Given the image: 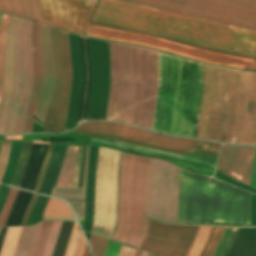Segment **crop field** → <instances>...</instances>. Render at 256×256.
Segmentation results:
<instances>
[{
	"label": "crop field",
	"instance_id": "1",
	"mask_svg": "<svg viewBox=\"0 0 256 256\" xmlns=\"http://www.w3.org/2000/svg\"><path fill=\"white\" fill-rule=\"evenodd\" d=\"M197 138L256 145V74L203 64Z\"/></svg>",
	"mask_w": 256,
	"mask_h": 256
},
{
	"label": "crop field",
	"instance_id": "2",
	"mask_svg": "<svg viewBox=\"0 0 256 256\" xmlns=\"http://www.w3.org/2000/svg\"><path fill=\"white\" fill-rule=\"evenodd\" d=\"M158 89V52L111 43L106 120L152 127Z\"/></svg>",
	"mask_w": 256,
	"mask_h": 256
},
{
	"label": "crop field",
	"instance_id": "3",
	"mask_svg": "<svg viewBox=\"0 0 256 256\" xmlns=\"http://www.w3.org/2000/svg\"><path fill=\"white\" fill-rule=\"evenodd\" d=\"M151 159L122 152L117 229L113 240L139 247L147 231Z\"/></svg>",
	"mask_w": 256,
	"mask_h": 256
},
{
	"label": "crop field",
	"instance_id": "4",
	"mask_svg": "<svg viewBox=\"0 0 256 256\" xmlns=\"http://www.w3.org/2000/svg\"><path fill=\"white\" fill-rule=\"evenodd\" d=\"M73 132L88 134V135H92L94 133H103V134H108V135H112V136H117V137H121V138L134 140L137 142H141V143H144L147 145L160 147V148H164V149L203 153V154H209V155H215V156L218 155V152H219V149L221 146L218 144H212V143H206V142H200V141H194V140L168 138V137L148 133V132L141 131V130H138L135 128L126 127V126H122V125H118V124H114V123H110V122L85 123V124L79 126L78 128H76ZM90 141L99 142V143H103V144H109V145H113V146H119V147H123V148L130 149V150H135V151H142V152L158 154V155H162V156L176 157V158L188 160L191 162L204 164V165H207L212 168L216 167L215 165H212V164H209L206 162L189 159V158H184V157H180V156H175V155H170V154H165V153H161V152L122 146V145L109 143V142H105V141H101V140H96V139H92V138H90Z\"/></svg>",
	"mask_w": 256,
	"mask_h": 256
},
{
	"label": "crop field",
	"instance_id": "5",
	"mask_svg": "<svg viewBox=\"0 0 256 256\" xmlns=\"http://www.w3.org/2000/svg\"><path fill=\"white\" fill-rule=\"evenodd\" d=\"M32 22L18 19L15 33L14 85L5 134H22L32 84Z\"/></svg>",
	"mask_w": 256,
	"mask_h": 256
},
{
	"label": "crop field",
	"instance_id": "6",
	"mask_svg": "<svg viewBox=\"0 0 256 256\" xmlns=\"http://www.w3.org/2000/svg\"><path fill=\"white\" fill-rule=\"evenodd\" d=\"M119 157L118 151L98 147L94 220L90 233L109 239L117 219Z\"/></svg>",
	"mask_w": 256,
	"mask_h": 256
},
{
	"label": "crop field",
	"instance_id": "7",
	"mask_svg": "<svg viewBox=\"0 0 256 256\" xmlns=\"http://www.w3.org/2000/svg\"><path fill=\"white\" fill-rule=\"evenodd\" d=\"M180 168L152 159L149 217L176 223Z\"/></svg>",
	"mask_w": 256,
	"mask_h": 256
},
{
	"label": "crop field",
	"instance_id": "8",
	"mask_svg": "<svg viewBox=\"0 0 256 256\" xmlns=\"http://www.w3.org/2000/svg\"><path fill=\"white\" fill-rule=\"evenodd\" d=\"M197 227L152 221L140 249L160 256H184Z\"/></svg>",
	"mask_w": 256,
	"mask_h": 256
},
{
	"label": "crop field",
	"instance_id": "9",
	"mask_svg": "<svg viewBox=\"0 0 256 256\" xmlns=\"http://www.w3.org/2000/svg\"><path fill=\"white\" fill-rule=\"evenodd\" d=\"M225 228L199 226L185 256H212ZM237 230H225L213 256H226Z\"/></svg>",
	"mask_w": 256,
	"mask_h": 256
},
{
	"label": "crop field",
	"instance_id": "10",
	"mask_svg": "<svg viewBox=\"0 0 256 256\" xmlns=\"http://www.w3.org/2000/svg\"><path fill=\"white\" fill-rule=\"evenodd\" d=\"M254 150L255 148L224 145L219 172L248 185Z\"/></svg>",
	"mask_w": 256,
	"mask_h": 256
},
{
	"label": "crop field",
	"instance_id": "11",
	"mask_svg": "<svg viewBox=\"0 0 256 256\" xmlns=\"http://www.w3.org/2000/svg\"><path fill=\"white\" fill-rule=\"evenodd\" d=\"M49 29V27L42 25L40 28V41L43 56V81L35 117L42 123L44 122L54 82L53 58L49 46Z\"/></svg>",
	"mask_w": 256,
	"mask_h": 256
},
{
	"label": "crop field",
	"instance_id": "12",
	"mask_svg": "<svg viewBox=\"0 0 256 256\" xmlns=\"http://www.w3.org/2000/svg\"><path fill=\"white\" fill-rule=\"evenodd\" d=\"M50 46L54 57L55 83L49 108L46 114L44 132L55 133V120L59 108V102L62 91L63 69L59 47V31L52 28L50 30Z\"/></svg>",
	"mask_w": 256,
	"mask_h": 256
},
{
	"label": "crop field",
	"instance_id": "13",
	"mask_svg": "<svg viewBox=\"0 0 256 256\" xmlns=\"http://www.w3.org/2000/svg\"><path fill=\"white\" fill-rule=\"evenodd\" d=\"M16 17L10 18L6 35V58L3 92L0 100V134H4L6 114L10 103L13 84V48Z\"/></svg>",
	"mask_w": 256,
	"mask_h": 256
},
{
	"label": "crop field",
	"instance_id": "14",
	"mask_svg": "<svg viewBox=\"0 0 256 256\" xmlns=\"http://www.w3.org/2000/svg\"><path fill=\"white\" fill-rule=\"evenodd\" d=\"M39 24L33 25L32 30V53H33V63H34V74H33V84L32 92L29 100V105L27 109V114L24 123L23 134L31 132L33 116L35 113L40 87L42 80V57H41V48L39 42Z\"/></svg>",
	"mask_w": 256,
	"mask_h": 256
},
{
	"label": "crop field",
	"instance_id": "15",
	"mask_svg": "<svg viewBox=\"0 0 256 256\" xmlns=\"http://www.w3.org/2000/svg\"><path fill=\"white\" fill-rule=\"evenodd\" d=\"M60 45H61L62 59H63V66H64V87H63L60 108H59L58 119L56 121V133L63 132L65 128V121H66V114H67V107H68L71 79H72L68 34L60 32Z\"/></svg>",
	"mask_w": 256,
	"mask_h": 256
},
{
	"label": "crop field",
	"instance_id": "16",
	"mask_svg": "<svg viewBox=\"0 0 256 256\" xmlns=\"http://www.w3.org/2000/svg\"><path fill=\"white\" fill-rule=\"evenodd\" d=\"M48 145L33 144L32 152L28 160L21 188L34 190L37 183Z\"/></svg>",
	"mask_w": 256,
	"mask_h": 256
},
{
	"label": "crop field",
	"instance_id": "17",
	"mask_svg": "<svg viewBox=\"0 0 256 256\" xmlns=\"http://www.w3.org/2000/svg\"><path fill=\"white\" fill-rule=\"evenodd\" d=\"M32 197V193L25 191H19L13 206L11 208L10 214L6 221L5 227L20 226L22 222L23 215Z\"/></svg>",
	"mask_w": 256,
	"mask_h": 256
},
{
	"label": "crop field",
	"instance_id": "18",
	"mask_svg": "<svg viewBox=\"0 0 256 256\" xmlns=\"http://www.w3.org/2000/svg\"><path fill=\"white\" fill-rule=\"evenodd\" d=\"M84 243H85V240H84L77 224L74 223L72 233H71L64 256H81ZM88 255H89V248H88L87 244L85 243L82 256H88Z\"/></svg>",
	"mask_w": 256,
	"mask_h": 256
},
{
	"label": "crop field",
	"instance_id": "19",
	"mask_svg": "<svg viewBox=\"0 0 256 256\" xmlns=\"http://www.w3.org/2000/svg\"><path fill=\"white\" fill-rule=\"evenodd\" d=\"M107 241V239L92 235L90 243L94 250L93 256H103ZM120 246V244L109 240L104 256H118Z\"/></svg>",
	"mask_w": 256,
	"mask_h": 256
},
{
	"label": "crop field",
	"instance_id": "20",
	"mask_svg": "<svg viewBox=\"0 0 256 256\" xmlns=\"http://www.w3.org/2000/svg\"><path fill=\"white\" fill-rule=\"evenodd\" d=\"M31 146H32V143H23V145H22V150H21L19 162H18V165H17V169H16V172H15L12 184H11L13 186L18 187L21 180H22L23 173H24V170H25V167H26V163H27V160H28V157H29L30 150H31Z\"/></svg>",
	"mask_w": 256,
	"mask_h": 256
},
{
	"label": "crop field",
	"instance_id": "21",
	"mask_svg": "<svg viewBox=\"0 0 256 256\" xmlns=\"http://www.w3.org/2000/svg\"><path fill=\"white\" fill-rule=\"evenodd\" d=\"M9 15H3L2 23L0 25V96L3 84V73H4V58H5V35L6 29L9 22Z\"/></svg>",
	"mask_w": 256,
	"mask_h": 256
},
{
	"label": "crop field",
	"instance_id": "22",
	"mask_svg": "<svg viewBox=\"0 0 256 256\" xmlns=\"http://www.w3.org/2000/svg\"><path fill=\"white\" fill-rule=\"evenodd\" d=\"M74 149L75 147H67L62 168L57 181V187H66L67 185Z\"/></svg>",
	"mask_w": 256,
	"mask_h": 256
},
{
	"label": "crop field",
	"instance_id": "23",
	"mask_svg": "<svg viewBox=\"0 0 256 256\" xmlns=\"http://www.w3.org/2000/svg\"><path fill=\"white\" fill-rule=\"evenodd\" d=\"M43 216H73L69 207L58 200L50 199Z\"/></svg>",
	"mask_w": 256,
	"mask_h": 256
},
{
	"label": "crop field",
	"instance_id": "24",
	"mask_svg": "<svg viewBox=\"0 0 256 256\" xmlns=\"http://www.w3.org/2000/svg\"><path fill=\"white\" fill-rule=\"evenodd\" d=\"M53 221H43L32 256H42Z\"/></svg>",
	"mask_w": 256,
	"mask_h": 256
},
{
	"label": "crop field",
	"instance_id": "25",
	"mask_svg": "<svg viewBox=\"0 0 256 256\" xmlns=\"http://www.w3.org/2000/svg\"><path fill=\"white\" fill-rule=\"evenodd\" d=\"M21 227L9 228L0 256H12Z\"/></svg>",
	"mask_w": 256,
	"mask_h": 256
},
{
	"label": "crop field",
	"instance_id": "26",
	"mask_svg": "<svg viewBox=\"0 0 256 256\" xmlns=\"http://www.w3.org/2000/svg\"><path fill=\"white\" fill-rule=\"evenodd\" d=\"M62 222L54 221L43 256H52Z\"/></svg>",
	"mask_w": 256,
	"mask_h": 256
},
{
	"label": "crop field",
	"instance_id": "27",
	"mask_svg": "<svg viewBox=\"0 0 256 256\" xmlns=\"http://www.w3.org/2000/svg\"><path fill=\"white\" fill-rule=\"evenodd\" d=\"M17 193H18L17 189H13V188L10 189L7 199L5 201V204L3 206V209L0 213V227H4L8 213L10 211V208L12 206V203H13Z\"/></svg>",
	"mask_w": 256,
	"mask_h": 256
},
{
	"label": "crop field",
	"instance_id": "28",
	"mask_svg": "<svg viewBox=\"0 0 256 256\" xmlns=\"http://www.w3.org/2000/svg\"><path fill=\"white\" fill-rule=\"evenodd\" d=\"M82 151H83V147H78L71 187H78L81 159H82Z\"/></svg>",
	"mask_w": 256,
	"mask_h": 256
},
{
	"label": "crop field",
	"instance_id": "29",
	"mask_svg": "<svg viewBox=\"0 0 256 256\" xmlns=\"http://www.w3.org/2000/svg\"><path fill=\"white\" fill-rule=\"evenodd\" d=\"M10 143L11 142H2V148L0 152V181L2 179L5 166L7 163V159L10 151Z\"/></svg>",
	"mask_w": 256,
	"mask_h": 256
},
{
	"label": "crop field",
	"instance_id": "30",
	"mask_svg": "<svg viewBox=\"0 0 256 256\" xmlns=\"http://www.w3.org/2000/svg\"><path fill=\"white\" fill-rule=\"evenodd\" d=\"M50 144H53V143H50ZM52 146H53V145H49V147H48V153H47V156H46V159H45V162H44V165H43V168H42V171H41V174H40L38 183H37V185H36V187H35V190H34V191H36V192L39 191V188H40V185H41V182H42V179H43V176H44V173H45V170H46V167H47L49 158H50Z\"/></svg>",
	"mask_w": 256,
	"mask_h": 256
},
{
	"label": "crop field",
	"instance_id": "31",
	"mask_svg": "<svg viewBox=\"0 0 256 256\" xmlns=\"http://www.w3.org/2000/svg\"><path fill=\"white\" fill-rule=\"evenodd\" d=\"M135 250V248L122 245L119 256H134Z\"/></svg>",
	"mask_w": 256,
	"mask_h": 256
},
{
	"label": "crop field",
	"instance_id": "32",
	"mask_svg": "<svg viewBox=\"0 0 256 256\" xmlns=\"http://www.w3.org/2000/svg\"><path fill=\"white\" fill-rule=\"evenodd\" d=\"M37 196H38V195H36V194L33 195L32 199H31V201H30V204H29V206H28V208H27V211H26V213H25V215H24L23 222H22V225H21V226H25L26 220H27V217H28V214H29V212H30V210H31V208H32V206H33V204H34V202H35Z\"/></svg>",
	"mask_w": 256,
	"mask_h": 256
},
{
	"label": "crop field",
	"instance_id": "33",
	"mask_svg": "<svg viewBox=\"0 0 256 256\" xmlns=\"http://www.w3.org/2000/svg\"><path fill=\"white\" fill-rule=\"evenodd\" d=\"M7 229L8 228H1L0 229V251H1L4 239H5V235H6Z\"/></svg>",
	"mask_w": 256,
	"mask_h": 256
},
{
	"label": "crop field",
	"instance_id": "34",
	"mask_svg": "<svg viewBox=\"0 0 256 256\" xmlns=\"http://www.w3.org/2000/svg\"><path fill=\"white\" fill-rule=\"evenodd\" d=\"M76 149H77V147H76ZM76 149H75V153H74V158H73V162H72V167H71V172H70V176H69V181H68L67 187H70V185H71V179H72V173H73V167H74Z\"/></svg>",
	"mask_w": 256,
	"mask_h": 256
},
{
	"label": "crop field",
	"instance_id": "35",
	"mask_svg": "<svg viewBox=\"0 0 256 256\" xmlns=\"http://www.w3.org/2000/svg\"><path fill=\"white\" fill-rule=\"evenodd\" d=\"M141 252L140 250H136V253H135V256H140L141 255ZM141 256H147V253L145 252H142V255Z\"/></svg>",
	"mask_w": 256,
	"mask_h": 256
},
{
	"label": "crop field",
	"instance_id": "36",
	"mask_svg": "<svg viewBox=\"0 0 256 256\" xmlns=\"http://www.w3.org/2000/svg\"><path fill=\"white\" fill-rule=\"evenodd\" d=\"M5 139H22V136H19V137L5 136Z\"/></svg>",
	"mask_w": 256,
	"mask_h": 256
},
{
	"label": "crop field",
	"instance_id": "37",
	"mask_svg": "<svg viewBox=\"0 0 256 256\" xmlns=\"http://www.w3.org/2000/svg\"><path fill=\"white\" fill-rule=\"evenodd\" d=\"M0 140H4V136H0Z\"/></svg>",
	"mask_w": 256,
	"mask_h": 256
},
{
	"label": "crop field",
	"instance_id": "38",
	"mask_svg": "<svg viewBox=\"0 0 256 256\" xmlns=\"http://www.w3.org/2000/svg\"><path fill=\"white\" fill-rule=\"evenodd\" d=\"M80 223V225H81V227L83 226V222H79Z\"/></svg>",
	"mask_w": 256,
	"mask_h": 256
},
{
	"label": "crop field",
	"instance_id": "39",
	"mask_svg": "<svg viewBox=\"0 0 256 256\" xmlns=\"http://www.w3.org/2000/svg\"><path fill=\"white\" fill-rule=\"evenodd\" d=\"M2 15H3V14L0 13V21H1Z\"/></svg>",
	"mask_w": 256,
	"mask_h": 256
},
{
	"label": "crop field",
	"instance_id": "40",
	"mask_svg": "<svg viewBox=\"0 0 256 256\" xmlns=\"http://www.w3.org/2000/svg\"><path fill=\"white\" fill-rule=\"evenodd\" d=\"M148 256H153V255L149 254Z\"/></svg>",
	"mask_w": 256,
	"mask_h": 256
},
{
	"label": "crop field",
	"instance_id": "41",
	"mask_svg": "<svg viewBox=\"0 0 256 256\" xmlns=\"http://www.w3.org/2000/svg\"><path fill=\"white\" fill-rule=\"evenodd\" d=\"M0 145H1V142H0Z\"/></svg>",
	"mask_w": 256,
	"mask_h": 256
}]
</instances>
